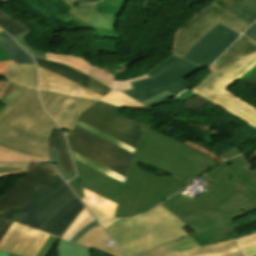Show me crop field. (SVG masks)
<instances>
[{"label": "crop field", "mask_w": 256, "mask_h": 256, "mask_svg": "<svg viewBox=\"0 0 256 256\" xmlns=\"http://www.w3.org/2000/svg\"><path fill=\"white\" fill-rule=\"evenodd\" d=\"M37 96V89L27 87L10 110L0 118V146L10 151L49 159V131L52 126L60 127L42 109Z\"/></svg>", "instance_id": "obj_3"}, {"label": "crop field", "mask_w": 256, "mask_h": 256, "mask_svg": "<svg viewBox=\"0 0 256 256\" xmlns=\"http://www.w3.org/2000/svg\"><path fill=\"white\" fill-rule=\"evenodd\" d=\"M9 108H10V107L6 105L2 110H0V117H1L2 115H4V114L8 111Z\"/></svg>", "instance_id": "obj_55"}, {"label": "crop field", "mask_w": 256, "mask_h": 256, "mask_svg": "<svg viewBox=\"0 0 256 256\" xmlns=\"http://www.w3.org/2000/svg\"><path fill=\"white\" fill-rule=\"evenodd\" d=\"M162 247H166L172 250H176L179 252L194 249L200 247L197 245L194 240L189 236L187 238L172 242L170 244L164 245Z\"/></svg>", "instance_id": "obj_35"}, {"label": "crop field", "mask_w": 256, "mask_h": 256, "mask_svg": "<svg viewBox=\"0 0 256 256\" xmlns=\"http://www.w3.org/2000/svg\"><path fill=\"white\" fill-rule=\"evenodd\" d=\"M5 80L37 88L36 66L10 65Z\"/></svg>", "instance_id": "obj_22"}, {"label": "crop field", "mask_w": 256, "mask_h": 256, "mask_svg": "<svg viewBox=\"0 0 256 256\" xmlns=\"http://www.w3.org/2000/svg\"><path fill=\"white\" fill-rule=\"evenodd\" d=\"M238 154H240L239 150H238L237 147H235V148H233V149H231V150H229V151H227V152H225V153H223V154H221L217 157H219L222 160H225V159L231 158L233 156H236Z\"/></svg>", "instance_id": "obj_47"}, {"label": "crop field", "mask_w": 256, "mask_h": 256, "mask_svg": "<svg viewBox=\"0 0 256 256\" xmlns=\"http://www.w3.org/2000/svg\"><path fill=\"white\" fill-rule=\"evenodd\" d=\"M36 64L65 78H68L96 93L104 95L109 89L104 84L100 83L93 77L65 64L34 58Z\"/></svg>", "instance_id": "obj_16"}, {"label": "crop field", "mask_w": 256, "mask_h": 256, "mask_svg": "<svg viewBox=\"0 0 256 256\" xmlns=\"http://www.w3.org/2000/svg\"><path fill=\"white\" fill-rule=\"evenodd\" d=\"M173 96H171L169 93H167L166 91L154 96V97H151L143 102H141L143 105H145L146 107L150 108L166 99H169Z\"/></svg>", "instance_id": "obj_41"}, {"label": "crop field", "mask_w": 256, "mask_h": 256, "mask_svg": "<svg viewBox=\"0 0 256 256\" xmlns=\"http://www.w3.org/2000/svg\"><path fill=\"white\" fill-rule=\"evenodd\" d=\"M0 31H2V30L0 29ZM9 64H14V62L13 61L0 62V77H4L5 78V75H6V72H7Z\"/></svg>", "instance_id": "obj_49"}, {"label": "crop field", "mask_w": 256, "mask_h": 256, "mask_svg": "<svg viewBox=\"0 0 256 256\" xmlns=\"http://www.w3.org/2000/svg\"><path fill=\"white\" fill-rule=\"evenodd\" d=\"M56 152L57 151L55 148L49 149L50 159L52 162H54L57 165V167L59 168L58 171L62 175V177L65 179V181H69L71 178L74 177V175L63 172L58 154Z\"/></svg>", "instance_id": "obj_40"}, {"label": "crop field", "mask_w": 256, "mask_h": 256, "mask_svg": "<svg viewBox=\"0 0 256 256\" xmlns=\"http://www.w3.org/2000/svg\"><path fill=\"white\" fill-rule=\"evenodd\" d=\"M213 104L256 129V108L233 93L226 91Z\"/></svg>", "instance_id": "obj_19"}, {"label": "crop field", "mask_w": 256, "mask_h": 256, "mask_svg": "<svg viewBox=\"0 0 256 256\" xmlns=\"http://www.w3.org/2000/svg\"><path fill=\"white\" fill-rule=\"evenodd\" d=\"M244 35L256 41V22L249 27Z\"/></svg>", "instance_id": "obj_48"}, {"label": "crop field", "mask_w": 256, "mask_h": 256, "mask_svg": "<svg viewBox=\"0 0 256 256\" xmlns=\"http://www.w3.org/2000/svg\"><path fill=\"white\" fill-rule=\"evenodd\" d=\"M101 100H105L112 104L123 106V107L136 108V109L146 108L142 104L136 102L135 100L131 99L130 97L120 92L109 93L103 98H101Z\"/></svg>", "instance_id": "obj_28"}, {"label": "crop field", "mask_w": 256, "mask_h": 256, "mask_svg": "<svg viewBox=\"0 0 256 256\" xmlns=\"http://www.w3.org/2000/svg\"><path fill=\"white\" fill-rule=\"evenodd\" d=\"M216 164L204 153L144 127L121 195L80 174L68 183L80 198L84 187L118 203L115 217L129 218L147 212Z\"/></svg>", "instance_id": "obj_1"}, {"label": "crop field", "mask_w": 256, "mask_h": 256, "mask_svg": "<svg viewBox=\"0 0 256 256\" xmlns=\"http://www.w3.org/2000/svg\"><path fill=\"white\" fill-rule=\"evenodd\" d=\"M0 256H8L7 253L0 252Z\"/></svg>", "instance_id": "obj_57"}, {"label": "crop field", "mask_w": 256, "mask_h": 256, "mask_svg": "<svg viewBox=\"0 0 256 256\" xmlns=\"http://www.w3.org/2000/svg\"><path fill=\"white\" fill-rule=\"evenodd\" d=\"M199 69L201 68L196 65L170 55L145 72L149 79L130 83L133 90L122 91V93L139 102L164 90L176 96L192 86L183 78Z\"/></svg>", "instance_id": "obj_7"}, {"label": "crop field", "mask_w": 256, "mask_h": 256, "mask_svg": "<svg viewBox=\"0 0 256 256\" xmlns=\"http://www.w3.org/2000/svg\"><path fill=\"white\" fill-rule=\"evenodd\" d=\"M49 235L13 222L0 241V250L20 256H36Z\"/></svg>", "instance_id": "obj_13"}, {"label": "crop field", "mask_w": 256, "mask_h": 256, "mask_svg": "<svg viewBox=\"0 0 256 256\" xmlns=\"http://www.w3.org/2000/svg\"><path fill=\"white\" fill-rule=\"evenodd\" d=\"M137 256H143L142 254H140V255H137Z\"/></svg>", "instance_id": "obj_58"}, {"label": "crop field", "mask_w": 256, "mask_h": 256, "mask_svg": "<svg viewBox=\"0 0 256 256\" xmlns=\"http://www.w3.org/2000/svg\"><path fill=\"white\" fill-rule=\"evenodd\" d=\"M117 220H119V219H112V220L103 222V223H101V224H102V225L104 226V228L106 229L108 226L112 225V224L115 223Z\"/></svg>", "instance_id": "obj_53"}, {"label": "crop field", "mask_w": 256, "mask_h": 256, "mask_svg": "<svg viewBox=\"0 0 256 256\" xmlns=\"http://www.w3.org/2000/svg\"><path fill=\"white\" fill-rule=\"evenodd\" d=\"M57 175L44 164H27L26 173L0 197V239L12 224L9 219Z\"/></svg>", "instance_id": "obj_9"}, {"label": "crop field", "mask_w": 256, "mask_h": 256, "mask_svg": "<svg viewBox=\"0 0 256 256\" xmlns=\"http://www.w3.org/2000/svg\"><path fill=\"white\" fill-rule=\"evenodd\" d=\"M75 124H77V125H79V126H81V127H83V128H85V129H87V130H89V131H91V132H93V133H95V134H97V135H99V136H101V137H103V138H105V139H107V140H109V141H111V142H113V143H115V144H117V145H119V146H121V147H123V148H125V149L134 153V149L120 143L119 141H117V140H115V139H113V138H111V137H109V136H107V135H105V134H103V133H101V132L83 124V123H81V122H79V121H76Z\"/></svg>", "instance_id": "obj_39"}, {"label": "crop field", "mask_w": 256, "mask_h": 256, "mask_svg": "<svg viewBox=\"0 0 256 256\" xmlns=\"http://www.w3.org/2000/svg\"><path fill=\"white\" fill-rule=\"evenodd\" d=\"M120 108L119 106L97 101L86 108L77 119L136 148L143 124L130 120L119 113Z\"/></svg>", "instance_id": "obj_10"}, {"label": "crop field", "mask_w": 256, "mask_h": 256, "mask_svg": "<svg viewBox=\"0 0 256 256\" xmlns=\"http://www.w3.org/2000/svg\"><path fill=\"white\" fill-rule=\"evenodd\" d=\"M10 40H12V38L8 36L4 31L0 33V44H3Z\"/></svg>", "instance_id": "obj_50"}, {"label": "crop field", "mask_w": 256, "mask_h": 256, "mask_svg": "<svg viewBox=\"0 0 256 256\" xmlns=\"http://www.w3.org/2000/svg\"><path fill=\"white\" fill-rule=\"evenodd\" d=\"M26 164H0V177L25 172Z\"/></svg>", "instance_id": "obj_36"}, {"label": "crop field", "mask_w": 256, "mask_h": 256, "mask_svg": "<svg viewBox=\"0 0 256 256\" xmlns=\"http://www.w3.org/2000/svg\"><path fill=\"white\" fill-rule=\"evenodd\" d=\"M63 2H65L67 5H69L70 7H72L73 9L69 12V14L87 22L88 20L77 10V8L75 7V3L73 0H62Z\"/></svg>", "instance_id": "obj_45"}, {"label": "crop field", "mask_w": 256, "mask_h": 256, "mask_svg": "<svg viewBox=\"0 0 256 256\" xmlns=\"http://www.w3.org/2000/svg\"><path fill=\"white\" fill-rule=\"evenodd\" d=\"M207 16H209V17L215 19L216 21H217V19H218V17H216V16H214V15H212V14H210V13H209Z\"/></svg>", "instance_id": "obj_56"}, {"label": "crop field", "mask_w": 256, "mask_h": 256, "mask_svg": "<svg viewBox=\"0 0 256 256\" xmlns=\"http://www.w3.org/2000/svg\"><path fill=\"white\" fill-rule=\"evenodd\" d=\"M145 78H148V76L144 75V76L138 77L136 79L126 80V81H114V83L112 84L111 92L132 89L129 82L141 80V79H145Z\"/></svg>", "instance_id": "obj_42"}, {"label": "crop field", "mask_w": 256, "mask_h": 256, "mask_svg": "<svg viewBox=\"0 0 256 256\" xmlns=\"http://www.w3.org/2000/svg\"><path fill=\"white\" fill-rule=\"evenodd\" d=\"M71 154H72V157L74 159H76V160H78V161H80V162H82V163H84V164H86V165H88V166H90L94 169H97L101 172H105L106 174H108V175H110V176H112V177H114V178H116V179H118L122 182H125V179H126L125 177H123V176H121V175H119V174H117V173H115V172H113V171H111V170H109V169H107V168H105V167H103V166H101V165H99V164H97V163H95V162L77 154V153H74V152L71 151Z\"/></svg>", "instance_id": "obj_33"}, {"label": "crop field", "mask_w": 256, "mask_h": 256, "mask_svg": "<svg viewBox=\"0 0 256 256\" xmlns=\"http://www.w3.org/2000/svg\"><path fill=\"white\" fill-rule=\"evenodd\" d=\"M7 0H2L5 2ZM0 27L14 36L22 31L29 29L26 25L9 18L6 14L0 11Z\"/></svg>", "instance_id": "obj_29"}, {"label": "crop field", "mask_w": 256, "mask_h": 256, "mask_svg": "<svg viewBox=\"0 0 256 256\" xmlns=\"http://www.w3.org/2000/svg\"><path fill=\"white\" fill-rule=\"evenodd\" d=\"M226 11L250 25L256 20V0H238Z\"/></svg>", "instance_id": "obj_25"}, {"label": "crop field", "mask_w": 256, "mask_h": 256, "mask_svg": "<svg viewBox=\"0 0 256 256\" xmlns=\"http://www.w3.org/2000/svg\"><path fill=\"white\" fill-rule=\"evenodd\" d=\"M230 49L233 51L191 89L211 103L256 66L254 42L241 35Z\"/></svg>", "instance_id": "obj_6"}, {"label": "crop field", "mask_w": 256, "mask_h": 256, "mask_svg": "<svg viewBox=\"0 0 256 256\" xmlns=\"http://www.w3.org/2000/svg\"><path fill=\"white\" fill-rule=\"evenodd\" d=\"M111 240L101 227L93 228L87 235L78 241L77 244L99 249L113 256H123L116 246L107 247L104 242ZM115 245V244H114Z\"/></svg>", "instance_id": "obj_21"}, {"label": "crop field", "mask_w": 256, "mask_h": 256, "mask_svg": "<svg viewBox=\"0 0 256 256\" xmlns=\"http://www.w3.org/2000/svg\"><path fill=\"white\" fill-rule=\"evenodd\" d=\"M142 254L145 256H244L235 240L183 253L159 247Z\"/></svg>", "instance_id": "obj_18"}, {"label": "crop field", "mask_w": 256, "mask_h": 256, "mask_svg": "<svg viewBox=\"0 0 256 256\" xmlns=\"http://www.w3.org/2000/svg\"><path fill=\"white\" fill-rule=\"evenodd\" d=\"M95 220L91 215L86 218L83 222H81L78 227L68 236V238L66 239L67 241H69V239L75 235L79 230H81L86 224L90 223L91 221Z\"/></svg>", "instance_id": "obj_46"}, {"label": "crop field", "mask_w": 256, "mask_h": 256, "mask_svg": "<svg viewBox=\"0 0 256 256\" xmlns=\"http://www.w3.org/2000/svg\"><path fill=\"white\" fill-rule=\"evenodd\" d=\"M52 147H56L58 151L63 170L76 175L64 134L62 130L54 127L52 128L49 137V148Z\"/></svg>", "instance_id": "obj_23"}, {"label": "crop field", "mask_w": 256, "mask_h": 256, "mask_svg": "<svg viewBox=\"0 0 256 256\" xmlns=\"http://www.w3.org/2000/svg\"><path fill=\"white\" fill-rule=\"evenodd\" d=\"M74 161V164H75V167H76V171L118 193H121V190L123 188V183L105 175V174H102L101 172L99 171H96L86 165H83L75 160Z\"/></svg>", "instance_id": "obj_24"}, {"label": "crop field", "mask_w": 256, "mask_h": 256, "mask_svg": "<svg viewBox=\"0 0 256 256\" xmlns=\"http://www.w3.org/2000/svg\"><path fill=\"white\" fill-rule=\"evenodd\" d=\"M58 256H91L90 248L60 240Z\"/></svg>", "instance_id": "obj_27"}, {"label": "crop field", "mask_w": 256, "mask_h": 256, "mask_svg": "<svg viewBox=\"0 0 256 256\" xmlns=\"http://www.w3.org/2000/svg\"><path fill=\"white\" fill-rule=\"evenodd\" d=\"M25 89L26 87L13 84L2 102L12 106L14 102L20 97V95L25 91Z\"/></svg>", "instance_id": "obj_37"}, {"label": "crop field", "mask_w": 256, "mask_h": 256, "mask_svg": "<svg viewBox=\"0 0 256 256\" xmlns=\"http://www.w3.org/2000/svg\"><path fill=\"white\" fill-rule=\"evenodd\" d=\"M83 190L85 198H83L82 200L91 209V211L95 214L98 220L103 221L109 218H113L115 216L118 204L108 199H105L95 193H92L84 188Z\"/></svg>", "instance_id": "obj_20"}, {"label": "crop field", "mask_w": 256, "mask_h": 256, "mask_svg": "<svg viewBox=\"0 0 256 256\" xmlns=\"http://www.w3.org/2000/svg\"><path fill=\"white\" fill-rule=\"evenodd\" d=\"M3 60H12L9 56H7L6 52L0 47V61Z\"/></svg>", "instance_id": "obj_51"}, {"label": "crop field", "mask_w": 256, "mask_h": 256, "mask_svg": "<svg viewBox=\"0 0 256 256\" xmlns=\"http://www.w3.org/2000/svg\"><path fill=\"white\" fill-rule=\"evenodd\" d=\"M209 12L220 17L217 22L241 33L249 26L237 17L229 14L212 3L196 13L176 30L172 54L182 58L206 32L219 24L207 17H204Z\"/></svg>", "instance_id": "obj_11"}, {"label": "crop field", "mask_w": 256, "mask_h": 256, "mask_svg": "<svg viewBox=\"0 0 256 256\" xmlns=\"http://www.w3.org/2000/svg\"><path fill=\"white\" fill-rule=\"evenodd\" d=\"M239 35L219 24L206 33L183 59L208 68Z\"/></svg>", "instance_id": "obj_12"}, {"label": "crop field", "mask_w": 256, "mask_h": 256, "mask_svg": "<svg viewBox=\"0 0 256 256\" xmlns=\"http://www.w3.org/2000/svg\"><path fill=\"white\" fill-rule=\"evenodd\" d=\"M90 22V24L110 29V22L112 15H102V14H96V13H86L81 12Z\"/></svg>", "instance_id": "obj_34"}, {"label": "crop field", "mask_w": 256, "mask_h": 256, "mask_svg": "<svg viewBox=\"0 0 256 256\" xmlns=\"http://www.w3.org/2000/svg\"><path fill=\"white\" fill-rule=\"evenodd\" d=\"M245 256H256V234L236 239Z\"/></svg>", "instance_id": "obj_30"}, {"label": "crop field", "mask_w": 256, "mask_h": 256, "mask_svg": "<svg viewBox=\"0 0 256 256\" xmlns=\"http://www.w3.org/2000/svg\"><path fill=\"white\" fill-rule=\"evenodd\" d=\"M69 148L123 176H127L133 153L74 125L66 135Z\"/></svg>", "instance_id": "obj_8"}, {"label": "crop field", "mask_w": 256, "mask_h": 256, "mask_svg": "<svg viewBox=\"0 0 256 256\" xmlns=\"http://www.w3.org/2000/svg\"><path fill=\"white\" fill-rule=\"evenodd\" d=\"M43 106L62 129L70 130L79 112L96 100L70 97L39 90ZM79 115V114H78Z\"/></svg>", "instance_id": "obj_14"}, {"label": "crop field", "mask_w": 256, "mask_h": 256, "mask_svg": "<svg viewBox=\"0 0 256 256\" xmlns=\"http://www.w3.org/2000/svg\"><path fill=\"white\" fill-rule=\"evenodd\" d=\"M77 4H82V3H89V2H98L101 0H75Z\"/></svg>", "instance_id": "obj_54"}, {"label": "crop field", "mask_w": 256, "mask_h": 256, "mask_svg": "<svg viewBox=\"0 0 256 256\" xmlns=\"http://www.w3.org/2000/svg\"><path fill=\"white\" fill-rule=\"evenodd\" d=\"M184 227L185 224L159 205L134 219H121L106 230L126 256H131L188 235Z\"/></svg>", "instance_id": "obj_5"}, {"label": "crop field", "mask_w": 256, "mask_h": 256, "mask_svg": "<svg viewBox=\"0 0 256 256\" xmlns=\"http://www.w3.org/2000/svg\"><path fill=\"white\" fill-rule=\"evenodd\" d=\"M99 225L96 220L86 225L80 232H78L74 237L70 239L71 242L77 243V241L83 237L86 233H88L93 227Z\"/></svg>", "instance_id": "obj_44"}, {"label": "crop field", "mask_w": 256, "mask_h": 256, "mask_svg": "<svg viewBox=\"0 0 256 256\" xmlns=\"http://www.w3.org/2000/svg\"><path fill=\"white\" fill-rule=\"evenodd\" d=\"M82 207L81 202L58 175L11 220L60 237Z\"/></svg>", "instance_id": "obj_4"}, {"label": "crop field", "mask_w": 256, "mask_h": 256, "mask_svg": "<svg viewBox=\"0 0 256 256\" xmlns=\"http://www.w3.org/2000/svg\"><path fill=\"white\" fill-rule=\"evenodd\" d=\"M58 239L59 238H56L50 235V237L48 238L44 246L41 248L37 256H47ZM9 256H16V255L9 254Z\"/></svg>", "instance_id": "obj_43"}, {"label": "crop field", "mask_w": 256, "mask_h": 256, "mask_svg": "<svg viewBox=\"0 0 256 256\" xmlns=\"http://www.w3.org/2000/svg\"><path fill=\"white\" fill-rule=\"evenodd\" d=\"M30 32H31V30L29 29V30L22 32L13 37L29 54H31L34 57L49 59V60H53V61L71 65V66L93 76L94 78H96L100 82L104 83L108 87L111 86L114 77L110 73L104 71L103 69H101L99 67L90 65L88 62L84 61L83 59H81L78 56L44 53V52L37 51V50L33 49L32 47H30L29 45H27L24 42L26 35L29 34Z\"/></svg>", "instance_id": "obj_15"}, {"label": "crop field", "mask_w": 256, "mask_h": 256, "mask_svg": "<svg viewBox=\"0 0 256 256\" xmlns=\"http://www.w3.org/2000/svg\"><path fill=\"white\" fill-rule=\"evenodd\" d=\"M0 161L3 162H25V161H50L46 159H38L18 153L7 151L0 147Z\"/></svg>", "instance_id": "obj_31"}, {"label": "crop field", "mask_w": 256, "mask_h": 256, "mask_svg": "<svg viewBox=\"0 0 256 256\" xmlns=\"http://www.w3.org/2000/svg\"><path fill=\"white\" fill-rule=\"evenodd\" d=\"M126 1L127 0H120L118 6L107 4V5L96 7L97 13L113 14L112 22H111V27H112L113 31L115 29L117 18L119 16L122 8L124 7Z\"/></svg>", "instance_id": "obj_32"}, {"label": "crop field", "mask_w": 256, "mask_h": 256, "mask_svg": "<svg viewBox=\"0 0 256 256\" xmlns=\"http://www.w3.org/2000/svg\"><path fill=\"white\" fill-rule=\"evenodd\" d=\"M89 215L90 214L87 212L86 208L83 207V209L79 212V214L72 221V223L69 225V227L66 229V231L62 234L60 238L65 240L66 237L77 227V225Z\"/></svg>", "instance_id": "obj_38"}, {"label": "crop field", "mask_w": 256, "mask_h": 256, "mask_svg": "<svg viewBox=\"0 0 256 256\" xmlns=\"http://www.w3.org/2000/svg\"><path fill=\"white\" fill-rule=\"evenodd\" d=\"M249 162L242 155L228 159L203 175L213 183L199 197L178 193L161 205L194 232L237 219L256 209V168Z\"/></svg>", "instance_id": "obj_2"}, {"label": "crop field", "mask_w": 256, "mask_h": 256, "mask_svg": "<svg viewBox=\"0 0 256 256\" xmlns=\"http://www.w3.org/2000/svg\"><path fill=\"white\" fill-rule=\"evenodd\" d=\"M119 0H102L101 2L95 3V6L112 3V4H118Z\"/></svg>", "instance_id": "obj_52"}, {"label": "crop field", "mask_w": 256, "mask_h": 256, "mask_svg": "<svg viewBox=\"0 0 256 256\" xmlns=\"http://www.w3.org/2000/svg\"><path fill=\"white\" fill-rule=\"evenodd\" d=\"M1 47L9 54V56L15 61L16 64L35 65L31 56H29L13 40L1 45Z\"/></svg>", "instance_id": "obj_26"}, {"label": "crop field", "mask_w": 256, "mask_h": 256, "mask_svg": "<svg viewBox=\"0 0 256 256\" xmlns=\"http://www.w3.org/2000/svg\"><path fill=\"white\" fill-rule=\"evenodd\" d=\"M39 70V88L63 93L72 96L87 97V98H100L98 95L68 79L51 73L38 66Z\"/></svg>", "instance_id": "obj_17"}]
</instances>
